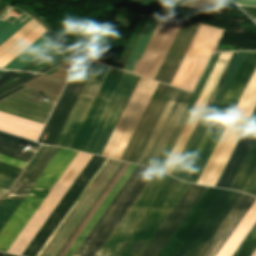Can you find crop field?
<instances>
[{
  "label": "crop field",
  "instance_id": "8a807250",
  "mask_svg": "<svg viewBox=\"0 0 256 256\" xmlns=\"http://www.w3.org/2000/svg\"><path fill=\"white\" fill-rule=\"evenodd\" d=\"M235 54H236V52H235ZM235 54H234V56H235ZM245 54H246V52H237L235 58L233 56L234 60L232 58L233 62L231 60L232 64L230 62L231 66L229 64L230 68L228 66L229 70L227 68L228 72L226 70L227 74L225 72L226 76L224 74L225 78L223 76V78H224V80L222 78L223 82L221 80L222 84L220 82L221 86L219 84L220 88L218 86L219 90L217 88L218 92L216 90V92H217V93L215 92L216 95L214 93L215 97L213 95L214 99L212 97L213 101L211 99L212 103L210 101L211 105L209 103L210 107L208 105L209 109L207 107L208 111L206 109L207 113L205 111L206 115L204 113L205 117L203 115L204 119L202 117L203 121L201 119L202 123L200 121L201 125L199 123L200 127L198 125V127H199V129L197 127L198 131L196 129L197 133L195 131L196 135L194 133V135H195V136L193 135L194 138L192 136L193 140L191 138L192 142L190 140L191 144L189 142L190 146L188 144L189 148L187 146L188 150L186 148L187 152L185 150L186 154L184 152L185 156L183 154L184 158L182 156L183 160L181 158L182 162L180 160L181 164L179 162L180 166L178 164L179 168L177 166V168H178V170L176 168L177 172L175 170L176 174L174 172L175 177L183 180V178H184V176H185V174H186V172H187V170H188V168H189V166H190V164H191V162H192V160H193V158H194V156H195V154H196V152H197V150H198V148H199V146H200V144H201V142H202V140H203V138H204V136H205V134H206L242 60H243V58H244V56H245ZM255 64H256V51L255 52H247L241 66H240V68H239V70H238V72H237V74H236V76H235V78H234V80H233V82H232V84H231V86H230V88H229V90H228V92H227V94H226V96H225V98H224L188 172H187V174H186V176H185V178H184V181L194 182V183L197 182V180H198V178H199V176H200V174H201V172H202V170H203V168H204V166H205V164H206V162H207V160H208V158H209V156H210V154H211V152H212V150H213V148H214V146H215V144H216V142H217L253 68H254V66H255ZM174 174H173V176H174Z\"/></svg>",
  "mask_w": 256,
  "mask_h": 256
},
{
  "label": "crop field",
  "instance_id": "ac0d7876",
  "mask_svg": "<svg viewBox=\"0 0 256 256\" xmlns=\"http://www.w3.org/2000/svg\"><path fill=\"white\" fill-rule=\"evenodd\" d=\"M135 168L130 164L65 256L74 254ZM154 174L151 169L137 166L73 256H95Z\"/></svg>",
  "mask_w": 256,
  "mask_h": 256
},
{
  "label": "crop field",
  "instance_id": "34b2d1b8",
  "mask_svg": "<svg viewBox=\"0 0 256 256\" xmlns=\"http://www.w3.org/2000/svg\"><path fill=\"white\" fill-rule=\"evenodd\" d=\"M241 196L208 187L159 256H198Z\"/></svg>",
  "mask_w": 256,
  "mask_h": 256
},
{
  "label": "crop field",
  "instance_id": "412701ff",
  "mask_svg": "<svg viewBox=\"0 0 256 256\" xmlns=\"http://www.w3.org/2000/svg\"><path fill=\"white\" fill-rule=\"evenodd\" d=\"M219 54H220V52L219 53H214L212 55V57L210 58V60L207 64V66H206V68H205V70H204V72H203V74H202V76H201V78H200V80H199V82H198V84H197V86H196V88H195V90H194V92H193V94H192V96H191V98H190V100H189V102H188V104H187V106H186V108H185V110H184L176 128H175V130L173 131V133H172V135H171V137H170V139H169V141H168V143H167V145H166V147H165V149H164V151H163V153H162V155H161V157H160V159H159V161H158V163L155 167V170L161 171V169H162V167H163V165H164V163H165V161H166V159H167V157H168V155H169V153H170V151H171V149H172V147H173V145H174V143H175V141H176V139H177V137H178V135H179V133H180V131H181L188 115H189V113H190V111L192 110V108H193V106H194V104H195V102H196V100H197V98H198V96H199V94H200V92H201V90H202V88H203V86H204V84H205V82H206V80H207V78H208L216 60H217V58H218V56H219ZM231 54H232V52H221V54H220V56H219V58H218V60L215 64V66H214V68H213V70H212V72H211V74H210V76H209V78H208V80H207V82H206V84H205V86H204V88H203V90H202V92H201V94H200L192 112L190 113V115H189V117H188V119H187V121H186V123H185V125H184V127H183V129H182V131H181V133H180V135H179V137H178V139H177V141H176V143H175V145H174V147H173V149H172V151H171V153H170V155H169V157H168V159H167V161H166V163L163 167V169H162V172L171 175V173H172V171H173V169H174V167H175V165H176V163H177V161H178V159H179V157H180V155H181V153H182V151H183V149H184V147H185V145H186V143H187V141H188V139H189V137H190V135H191V133H192L199 117H200V115H201V113L203 112V110H204V108H205V106H206V104H207V102H208V100H209V98H210V96H211V94H212V92H213V90H214V88H215V86H216V84H217V82H218V80H219V78H220L228 60H229V58H230V56H231Z\"/></svg>",
  "mask_w": 256,
  "mask_h": 256
},
{
  "label": "crop field",
  "instance_id": "f4fd0767",
  "mask_svg": "<svg viewBox=\"0 0 256 256\" xmlns=\"http://www.w3.org/2000/svg\"><path fill=\"white\" fill-rule=\"evenodd\" d=\"M44 96L57 99V96L25 87L1 100L0 110L44 124L53 107L41 102ZM1 111L0 130L32 140L36 139L42 124Z\"/></svg>",
  "mask_w": 256,
  "mask_h": 256
},
{
  "label": "crop field",
  "instance_id": "dd49c442",
  "mask_svg": "<svg viewBox=\"0 0 256 256\" xmlns=\"http://www.w3.org/2000/svg\"><path fill=\"white\" fill-rule=\"evenodd\" d=\"M76 154V151L60 148L21 205L1 230V251L7 252Z\"/></svg>",
  "mask_w": 256,
  "mask_h": 256
},
{
  "label": "crop field",
  "instance_id": "e52e79f7",
  "mask_svg": "<svg viewBox=\"0 0 256 256\" xmlns=\"http://www.w3.org/2000/svg\"><path fill=\"white\" fill-rule=\"evenodd\" d=\"M170 180L171 177L156 172L98 254H118Z\"/></svg>",
  "mask_w": 256,
  "mask_h": 256
},
{
  "label": "crop field",
  "instance_id": "d8731c3e",
  "mask_svg": "<svg viewBox=\"0 0 256 256\" xmlns=\"http://www.w3.org/2000/svg\"><path fill=\"white\" fill-rule=\"evenodd\" d=\"M90 157V154L78 152L11 248L9 247V253L21 255Z\"/></svg>",
  "mask_w": 256,
  "mask_h": 256
},
{
  "label": "crop field",
  "instance_id": "5a996713",
  "mask_svg": "<svg viewBox=\"0 0 256 256\" xmlns=\"http://www.w3.org/2000/svg\"><path fill=\"white\" fill-rule=\"evenodd\" d=\"M104 160L105 158L92 155L90 160L87 162L85 167L79 173V175L69 187L67 192L64 194L62 199L59 201L55 209L52 211L50 216L47 218L45 223L42 225V227L32 239L30 244L27 246L25 251L22 253L23 256L37 255L39 250L50 237L52 232L63 219L65 214L68 212L72 204L75 202L77 197L80 195L82 190L85 188L87 183L90 181V179Z\"/></svg>",
  "mask_w": 256,
  "mask_h": 256
},
{
  "label": "crop field",
  "instance_id": "3316defc",
  "mask_svg": "<svg viewBox=\"0 0 256 256\" xmlns=\"http://www.w3.org/2000/svg\"><path fill=\"white\" fill-rule=\"evenodd\" d=\"M191 93L174 88L137 164L154 169Z\"/></svg>",
  "mask_w": 256,
  "mask_h": 256
},
{
  "label": "crop field",
  "instance_id": "28ad6ade",
  "mask_svg": "<svg viewBox=\"0 0 256 256\" xmlns=\"http://www.w3.org/2000/svg\"><path fill=\"white\" fill-rule=\"evenodd\" d=\"M189 183L173 179L119 256H138L156 232Z\"/></svg>",
  "mask_w": 256,
  "mask_h": 256
},
{
  "label": "crop field",
  "instance_id": "d1516ede",
  "mask_svg": "<svg viewBox=\"0 0 256 256\" xmlns=\"http://www.w3.org/2000/svg\"><path fill=\"white\" fill-rule=\"evenodd\" d=\"M94 63L82 60L78 62L61 98L59 99L43 133L48 134L40 143L54 145L73 105L75 104Z\"/></svg>",
  "mask_w": 256,
  "mask_h": 256
},
{
  "label": "crop field",
  "instance_id": "22f410ed",
  "mask_svg": "<svg viewBox=\"0 0 256 256\" xmlns=\"http://www.w3.org/2000/svg\"><path fill=\"white\" fill-rule=\"evenodd\" d=\"M173 87L158 84L121 160L136 163L154 125L156 124ZM120 160V159H119Z\"/></svg>",
  "mask_w": 256,
  "mask_h": 256
},
{
  "label": "crop field",
  "instance_id": "cbeb9de0",
  "mask_svg": "<svg viewBox=\"0 0 256 256\" xmlns=\"http://www.w3.org/2000/svg\"><path fill=\"white\" fill-rule=\"evenodd\" d=\"M206 187L190 184L139 256H157Z\"/></svg>",
  "mask_w": 256,
  "mask_h": 256
},
{
  "label": "crop field",
  "instance_id": "5142ce71",
  "mask_svg": "<svg viewBox=\"0 0 256 256\" xmlns=\"http://www.w3.org/2000/svg\"><path fill=\"white\" fill-rule=\"evenodd\" d=\"M137 76L124 72L105 112L103 113L85 152L99 155Z\"/></svg>",
  "mask_w": 256,
  "mask_h": 256
},
{
  "label": "crop field",
  "instance_id": "d9b57169",
  "mask_svg": "<svg viewBox=\"0 0 256 256\" xmlns=\"http://www.w3.org/2000/svg\"><path fill=\"white\" fill-rule=\"evenodd\" d=\"M99 65L95 64L76 104L74 105L55 145L56 146H62V147H67L69 148L81 122L83 121L93 99L95 97V95L97 94L108 70L109 67H105L100 65L99 69H98ZM98 69V71H97ZM97 71V73H96ZM96 73V75H95ZM95 75V77H94ZM94 77V79H93ZM93 79V81L91 82V80ZM91 82V84H90ZM90 84V86H89ZM89 86V88H88ZM88 88V90H87ZM87 90V92H86ZM86 92V94H85ZM85 94L86 97H92V98H86L83 97Z\"/></svg>",
  "mask_w": 256,
  "mask_h": 256
},
{
  "label": "crop field",
  "instance_id": "733c2abd",
  "mask_svg": "<svg viewBox=\"0 0 256 256\" xmlns=\"http://www.w3.org/2000/svg\"><path fill=\"white\" fill-rule=\"evenodd\" d=\"M123 71L110 68L96 98L81 124L70 148L84 151L103 111L105 110Z\"/></svg>",
  "mask_w": 256,
  "mask_h": 256
},
{
  "label": "crop field",
  "instance_id": "4a817a6b",
  "mask_svg": "<svg viewBox=\"0 0 256 256\" xmlns=\"http://www.w3.org/2000/svg\"><path fill=\"white\" fill-rule=\"evenodd\" d=\"M58 150V147L44 145L7 198L21 202ZM19 204V202L7 199L2 203L0 206V230Z\"/></svg>",
  "mask_w": 256,
  "mask_h": 256
},
{
  "label": "crop field",
  "instance_id": "bc2a9ffb",
  "mask_svg": "<svg viewBox=\"0 0 256 256\" xmlns=\"http://www.w3.org/2000/svg\"><path fill=\"white\" fill-rule=\"evenodd\" d=\"M199 25L183 21L155 80L170 84L184 54L186 53Z\"/></svg>",
  "mask_w": 256,
  "mask_h": 256
},
{
  "label": "crop field",
  "instance_id": "214f88e0",
  "mask_svg": "<svg viewBox=\"0 0 256 256\" xmlns=\"http://www.w3.org/2000/svg\"><path fill=\"white\" fill-rule=\"evenodd\" d=\"M256 135V108L253 111L235 149L233 150L216 187L229 188Z\"/></svg>",
  "mask_w": 256,
  "mask_h": 256
},
{
  "label": "crop field",
  "instance_id": "92a150f3",
  "mask_svg": "<svg viewBox=\"0 0 256 256\" xmlns=\"http://www.w3.org/2000/svg\"><path fill=\"white\" fill-rule=\"evenodd\" d=\"M255 200L243 194L199 256H215Z\"/></svg>",
  "mask_w": 256,
  "mask_h": 256
},
{
  "label": "crop field",
  "instance_id": "dafd665d",
  "mask_svg": "<svg viewBox=\"0 0 256 256\" xmlns=\"http://www.w3.org/2000/svg\"><path fill=\"white\" fill-rule=\"evenodd\" d=\"M161 16L156 14L149 15L124 67L123 70L133 73L146 45L148 44Z\"/></svg>",
  "mask_w": 256,
  "mask_h": 256
},
{
  "label": "crop field",
  "instance_id": "00972430",
  "mask_svg": "<svg viewBox=\"0 0 256 256\" xmlns=\"http://www.w3.org/2000/svg\"><path fill=\"white\" fill-rule=\"evenodd\" d=\"M28 145L31 147H40L39 144L17 138L0 132V153L20 160L29 162L32 153L22 151Z\"/></svg>",
  "mask_w": 256,
  "mask_h": 256
},
{
  "label": "crop field",
  "instance_id": "a9b5d70f",
  "mask_svg": "<svg viewBox=\"0 0 256 256\" xmlns=\"http://www.w3.org/2000/svg\"><path fill=\"white\" fill-rule=\"evenodd\" d=\"M256 168V137L230 187V189L244 191ZM229 189V188H228Z\"/></svg>",
  "mask_w": 256,
  "mask_h": 256
},
{
  "label": "crop field",
  "instance_id": "4177f3b9",
  "mask_svg": "<svg viewBox=\"0 0 256 256\" xmlns=\"http://www.w3.org/2000/svg\"><path fill=\"white\" fill-rule=\"evenodd\" d=\"M52 45L51 41L44 37H40L36 40L30 47L13 59L9 64H7L5 69L20 70L40 54H42L47 48Z\"/></svg>",
  "mask_w": 256,
  "mask_h": 256
},
{
  "label": "crop field",
  "instance_id": "730fd06b",
  "mask_svg": "<svg viewBox=\"0 0 256 256\" xmlns=\"http://www.w3.org/2000/svg\"><path fill=\"white\" fill-rule=\"evenodd\" d=\"M38 76L37 74H28V73H20L15 72L1 87H0V95L3 93L15 88L16 86Z\"/></svg>",
  "mask_w": 256,
  "mask_h": 256
},
{
  "label": "crop field",
  "instance_id": "eef30255",
  "mask_svg": "<svg viewBox=\"0 0 256 256\" xmlns=\"http://www.w3.org/2000/svg\"><path fill=\"white\" fill-rule=\"evenodd\" d=\"M31 19L32 18L30 16L24 13L20 17H18L13 23H11L6 29H4L0 33V44H2L5 40L11 37L14 33H16Z\"/></svg>",
  "mask_w": 256,
  "mask_h": 256
},
{
  "label": "crop field",
  "instance_id": "ae1a2a85",
  "mask_svg": "<svg viewBox=\"0 0 256 256\" xmlns=\"http://www.w3.org/2000/svg\"><path fill=\"white\" fill-rule=\"evenodd\" d=\"M256 248V228L251 233L249 238L246 240L244 245L241 247L236 256H250Z\"/></svg>",
  "mask_w": 256,
  "mask_h": 256
},
{
  "label": "crop field",
  "instance_id": "d3111659",
  "mask_svg": "<svg viewBox=\"0 0 256 256\" xmlns=\"http://www.w3.org/2000/svg\"><path fill=\"white\" fill-rule=\"evenodd\" d=\"M22 169L0 163V173L17 178Z\"/></svg>",
  "mask_w": 256,
  "mask_h": 256
},
{
  "label": "crop field",
  "instance_id": "750c4746",
  "mask_svg": "<svg viewBox=\"0 0 256 256\" xmlns=\"http://www.w3.org/2000/svg\"><path fill=\"white\" fill-rule=\"evenodd\" d=\"M65 62H67V60L60 55L56 59H54L51 63H49L46 67H44L42 70H40L39 72L45 73L63 63H65Z\"/></svg>",
  "mask_w": 256,
  "mask_h": 256
},
{
  "label": "crop field",
  "instance_id": "bd1437ed",
  "mask_svg": "<svg viewBox=\"0 0 256 256\" xmlns=\"http://www.w3.org/2000/svg\"><path fill=\"white\" fill-rule=\"evenodd\" d=\"M58 55V51L55 49L51 54H49L40 64H38L36 67H34L32 70L33 72L39 71L41 68H43L45 65H47L50 61H52L54 58H56Z\"/></svg>",
  "mask_w": 256,
  "mask_h": 256
},
{
  "label": "crop field",
  "instance_id": "1d83c4d3",
  "mask_svg": "<svg viewBox=\"0 0 256 256\" xmlns=\"http://www.w3.org/2000/svg\"><path fill=\"white\" fill-rule=\"evenodd\" d=\"M14 181H15V178L0 174V187L9 189V187L12 185Z\"/></svg>",
  "mask_w": 256,
  "mask_h": 256
},
{
  "label": "crop field",
  "instance_id": "120bbe31",
  "mask_svg": "<svg viewBox=\"0 0 256 256\" xmlns=\"http://www.w3.org/2000/svg\"><path fill=\"white\" fill-rule=\"evenodd\" d=\"M16 17H14L13 15L8 13L2 20H0V32L5 27H7L12 21H14L16 19Z\"/></svg>",
  "mask_w": 256,
  "mask_h": 256
},
{
  "label": "crop field",
  "instance_id": "d32e631a",
  "mask_svg": "<svg viewBox=\"0 0 256 256\" xmlns=\"http://www.w3.org/2000/svg\"><path fill=\"white\" fill-rule=\"evenodd\" d=\"M244 11H246L251 17H256V7H246L240 6Z\"/></svg>",
  "mask_w": 256,
  "mask_h": 256
},
{
  "label": "crop field",
  "instance_id": "5866460e",
  "mask_svg": "<svg viewBox=\"0 0 256 256\" xmlns=\"http://www.w3.org/2000/svg\"><path fill=\"white\" fill-rule=\"evenodd\" d=\"M248 194H252V195H255L256 193V175L247 191Z\"/></svg>",
  "mask_w": 256,
  "mask_h": 256
},
{
  "label": "crop field",
  "instance_id": "028f5c9d",
  "mask_svg": "<svg viewBox=\"0 0 256 256\" xmlns=\"http://www.w3.org/2000/svg\"><path fill=\"white\" fill-rule=\"evenodd\" d=\"M242 5L256 6V0H234Z\"/></svg>",
  "mask_w": 256,
  "mask_h": 256
},
{
  "label": "crop field",
  "instance_id": "e1f06a70",
  "mask_svg": "<svg viewBox=\"0 0 256 256\" xmlns=\"http://www.w3.org/2000/svg\"><path fill=\"white\" fill-rule=\"evenodd\" d=\"M14 72L8 71L1 79H0V85L7 80Z\"/></svg>",
  "mask_w": 256,
  "mask_h": 256
},
{
  "label": "crop field",
  "instance_id": "0bd39190",
  "mask_svg": "<svg viewBox=\"0 0 256 256\" xmlns=\"http://www.w3.org/2000/svg\"><path fill=\"white\" fill-rule=\"evenodd\" d=\"M23 87H24V85H22V86H20V87H18V88H16V89H14V90H12V91H10V92L4 94V95H2V96L0 97V99L3 98V97H5V96H7V95H9V94H11V93H13V92H15V91H17V90H19V89H21V88H23Z\"/></svg>",
  "mask_w": 256,
  "mask_h": 256
},
{
  "label": "crop field",
  "instance_id": "b80d0937",
  "mask_svg": "<svg viewBox=\"0 0 256 256\" xmlns=\"http://www.w3.org/2000/svg\"><path fill=\"white\" fill-rule=\"evenodd\" d=\"M71 54H72V52H71L69 55L65 56V57L68 58L70 61H72V60L78 58V57H76V56H72Z\"/></svg>",
  "mask_w": 256,
  "mask_h": 256
},
{
  "label": "crop field",
  "instance_id": "c035e120",
  "mask_svg": "<svg viewBox=\"0 0 256 256\" xmlns=\"http://www.w3.org/2000/svg\"><path fill=\"white\" fill-rule=\"evenodd\" d=\"M12 8H8L1 16H0V19L3 17V16H5V14L9 11V10H11Z\"/></svg>",
  "mask_w": 256,
  "mask_h": 256
},
{
  "label": "crop field",
  "instance_id": "c21b1889",
  "mask_svg": "<svg viewBox=\"0 0 256 256\" xmlns=\"http://www.w3.org/2000/svg\"><path fill=\"white\" fill-rule=\"evenodd\" d=\"M7 71L0 70V78L6 73Z\"/></svg>",
  "mask_w": 256,
  "mask_h": 256
},
{
  "label": "crop field",
  "instance_id": "03da06ac",
  "mask_svg": "<svg viewBox=\"0 0 256 256\" xmlns=\"http://www.w3.org/2000/svg\"><path fill=\"white\" fill-rule=\"evenodd\" d=\"M4 201V199L3 200H0V205H1V203Z\"/></svg>",
  "mask_w": 256,
  "mask_h": 256
},
{
  "label": "crop field",
  "instance_id": "b54c1fbb",
  "mask_svg": "<svg viewBox=\"0 0 256 256\" xmlns=\"http://www.w3.org/2000/svg\"><path fill=\"white\" fill-rule=\"evenodd\" d=\"M3 256H11V255H6V254H4Z\"/></svg>",
  "mask_w": 256,
  "mask_h": 256
},
{
  "label": "crop field",
  "instance_id": "5d738f31",
  "mask_svg": "<svg viewBox=\"0 0 256 256\" xmlns=\"http://www.w3.org/2000/svg\"><path fill=\"white\" fill-rule=\"evenodd\" d=\"M3 254L2 253H0V256H2Z\"/></svg>",
  "mask_w": 256,
  "mask_h": 256
}]
</instances>
